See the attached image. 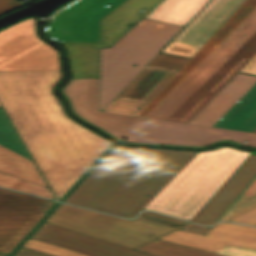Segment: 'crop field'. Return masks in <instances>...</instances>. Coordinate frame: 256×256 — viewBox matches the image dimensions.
Returning a JSON list of instances; mask_svg holds the SVG:
<instances>
[{
    "label": "crop field",
    "mask_w": 256,
    "mask_h": 256,
    "mask_svg": "<svg viewBox=\"0 0 256 256\" xmlns=\"http://www.w3.org/2000/svg\"><path fill=\"white\" fill-rule=\"evenodd\" d=\"M60 71L0 72V102L59 200L111 144L68 118L53 96Z\"/></svg>",
    "instance_id": "obj_1"
},
{
    "label": "crop field",
    "mask_w": 256,
    "mask_h": 256,
    "mask_svg": "<svg viewBox=\"0 0 256 256\" xmlns=\"http://www.w3.org/2000/svg\"><path fill=\"white\" fill-rule=\"evenodd\" d=\"M196 153L115 145L64 202L134 217Z\"/></svg>",
    "instance_id": "obj_2"
},
{
    "label": "crop field",
    "mask_w": 256,
    "mask_h": 256,
    "mask_svg": "<svg viewBox=\"0 0 256 256\" xmlns=\"http://www.w3.org/2000/svg\"><path fill=\"white\" fill-rule=\"evenodd\" d=\"M249 154L232 147L198 152L144 209L189 221Z\"/></svg>",
    "instance_id": "obj_3"
},
{
    "label": "crop field",
    "mask_w": 256,
    "mask_h": 256,
    "mask_svg": "<svg viewBox=\"0 0 256 256\" xmlns=\"http://www.w3.org/2000/svg\"><path fill=\"white\" fill-rule=\"evenodd\" d=\"M181 28L142 19L110 48L100 49L99 110L103 111Z\"/></svg>",
    "instance_id": "obj_4"
},
{
    "label": "crop field",
    "mask_w": 256,
    "mask_h": 256,
    "mask_svg": "<svg viewBox=\"0 0 256 256\" xmlns=\"http://www.w3.org/2000/svg\"><path fill=\"white\" fill-rule=\"evenodd\" d=\"M46 222L135 249L175 229L185 221L142 212L134 220L121 219L61 203Z\"/></svg>",
    "instance_id": "obj_5"
},
{
    "label": "crop field",
    "mask_w": 256,
    "mask_h": 256,
    "mask_svg": "<svg viewBox=\"0 0 256 256\" xmlns=\"http://www.w3.org/2000/svg\"><path fill=\"white\" fill-rule=\"evenodd\" d=\"M161 0H126L100 20V43L58 42L67 49L72 78H99V48L110 47ZM144 11L143 13L138 12Z\"/></svg>",
    "instance_id": "obj_6"
},
{
    "label": "crop field",
    "mask_w": 256,
    "mask_h": 256,
    "mask_svg": "<svg viewBox=\"0 0 256 256\" xmlns=\"http://www.w3.org/2000/svg\"><path fill=\"white\" fill-rule=\"evenodd\" d=\"M233 140L256 147V134L215 127L175 123L146 118L127 138L130 143L205 146L219 140ZM248 141L247 144L243 143Z\"/></svg>",
    "instance_id": "obj_7"
},
{
    "label": "crop field",
    "mask_w": 256,
    "mask_h": 256,
    "mask_svg": "<svg viewBox=\"0 0 256 256\" xmlns=\"http://www.w3.org/2000/svg\"><path fill=\"white\" fill-rule=\"evenodd\" d=\"M60 70L57 52L40 41L34 17L0 32V71Z\"/></svg>",
    "instance_id": "obj_8"
},
{
    "label": "crop field",
    "mask_w": 256,
    "mask_h": 256,
    "mask_svg": "<svg viewBox=\"0 0 256 256\" xmlns=\"http://www.w3.org/2000/svg\"><path fill=\"white\" fill-rule=\"evenodd\" d=\"M255 31L256 10L146 117L165 120Z\"/></svg>",
    "instance_id": "obj_9"
},
{
    "label": "crop field",
    "mask_w": 256,
    "mask_h": 256,
    "mask_svg": "<svg viewBox=\"0 0 256 256\" xmlns=\"http://www.w3.org/2000/svg\"><path fill=\"white\" fill-rule=\"evenodd\" d=\"M99 79H71L62 92L74 112L117 139H125L145 118L98 111Z\"/></svg>",
    "instance_id": "obj_10"
},
{
    "label": "crop field",
    "mask_w": 256,
    "mask_h": 256,
    "mask_svg": "<svg viewBox=\"0 0 256 256\" xmlns=\"http://www.w3.org/2000/svg\"><path fill=\"white\" fill-rule=\"evenodd\" d=\"M256 54V32L166 120L187 123Z\"/></svg>",
    "instance_id": "obj_11"
},
{
    "label": "crop field",
    "mask_w": 256,
    "mask_h": 256,
    "mask_svg": "<svg viewBox=\"0 0 256 256\" xmlns=\"http://www.w3.org/2000/svg\"><path fill=\"white\" fill-rule=\"evenodd\" d=\"M158 239L213 253L226 245L256 250V227L220 222L206 236L175 230Z\"/></svg>",
    "instance_id": "obj_12"
},
{
    "label": "crop field",
    "mask_w": 256,
    "mask_h": 256,
    "mask_svg": "<svg viewBox=\"0 0 256 256\" xmlns=\"http://www.w3.org/2000/svg\"><path fill=\"white\" fill-rule=\"evenodd\" d=\"M256 9V0L245 2L220 27L208 42L195 53L191 60L167 82V84L144 106L136 116L145 117L156 107L188 74H190L241 22Z\"/></svg>",
    "instance_id": "obj_13"
},
{
    "label": "crop field",
    "mask_w": 256,
    "mask_h": 256,
    "mask_svg": "<svg viewBox=\"0 0 256 256\" xmlns=\"http://www.w3.org/2000/svg\"><path fill=\"white\" fill-rule=\"evenodd\" d=\"M31 238L90 256H150L44 222Z\"/></svg>",
    "instance_id": "obj_14"
},
{
    "label": "crop field",
    "mask_w": 256,
    "mask_h": 256,
    "mask_svg": "<svg viewBox=\"0 0 256 256\" xmlns=\"http://www.w3.org/2000/svg\"><path fill=\"white\" fill-rule=\"evenodd\" d=\"M256 175V154L251 153L235 173L190 220L211 225Z\"/></svg>",
    "instance_id": "obj_15"
},
{
    "label": "crop field",
    "mask_w": 256,
    "mask_h": 256,
    "mask_svg": "<svg viewBox=\"0 0 256 256\" xmlns=\"http://www.w3.org/2000/svg\"><path fill=\"white\" fill-rule=\"evenodd\" d=\"M244 0H212L174 39L202 47Z\"/></svg>",
    "instance_id": "obj_16"
},
{
    "label": "crop field",
    "mask_w": 256,
    "mask_h": 256,
    "mask_svg": "<svg viewBox=\"0 0 256 256\" xmlns=\"http://www.w3.org/2000/svg\"><path fill=\"white\" fill-rule=\"evenodd\" d=\"M255 83L256 76L238 73L188 123L212 126Z\"/></svg>",
    "instance_id": "obj_17"
},
{
    "label": "crop field",
    "mask_w": 256,
    "mask_h": 256,
    "mask_svg": "<svg viewBox=\"0 0 256 256\" xmlns=\"http://www.w3.org/2000/svg\"><path fill=\"white\" fill-rule=\"evenodd\" d=\"M176 72L147 66L115 100L145 105Z\"/></svg>",
    "instance_id": "obj_18"
},
{
    "label": "crop field",
    "mask_w": 256,
    "mask_h": 256,
    "mask_svg": "<svg viewBox=\"0 0 256 256\" xmlns=\"http://www.w3.org/2000/svg\"><path fill=\"white\" fill-rule=\"evenodd\" d=\"M46 212L0 213V252L7 254Z\"/></svg>",
    "instance_id": "obj_19"
},
{
    "label": "crop field",
    "mask_w": 256,
    "mask_h": 256,
    "mask_svg": "<svg viewBox=\"0 0 256 256\" xmlns=\"http://www.w3.org/2000/svg\"><path fill=\"white\" fill-rule=\"evenodd\" d=\"M45 32L56 41L99 42V21L53 18Z\"/></svg>",
    "instance_id": "obj_20"
},
{
    "label": "crop field",
    "mask_w": 256,
    "mask_h": 256,
    "mask_svg": "<svg viewBox=\"0 0 256 256\" xmlns=\"http://www.w3.org/2000/svg\"><path fill=\"white\" fill-rule=\"evenodd\" d=\"M213 126L252 132L256 129V84Z\"/></svg>",
    "instance_id": "obj_21"
},
{
    "label": "crop field",
    "mask_w": 256,
    "mask_h": 256,
    "mask_svg": "<svg viewBox=\"0 0 256 256\" xmlns=\"http://www.w3.org/2000/svg\"><path fill=\"white\" fill-rule=\"evenodd\" d=\"M208 0H162L144 18L184 26Z\"/></svg>",
    "instance_id": "obj_22"
},
{
    "label": "crop field",
    "mask_w": 256,
    "mask_h": 256,
    "mask_svg": "<svg viewBox=\"0 0 256 256\" xmlns=\"http://www.w3.org/2000/svg\"><path fill=\"white\" fill-rule=\"evenodd\" d=\"M0 172L48 188L34 162L1 145Z\"/></svg>",
    "instance_id": "obj_23"
},
{
    "label": "crop field",
    "mask_w": 256,
    "mask_h": 256,
    "mask_svg": "<svg viewBox=\"0 0 256 256\" xmlns=\"http://www.w3.org/2000/svg\"><path fill=\"white\" fill-rule=\"evenodd\" d=\"M125 0H78L54 17L100 20ZM111 4L110 7L106 6Z\"/></svg>",
    "instance_id": "obj_24"
},
{
    "label": "crop field",
    "mask_w": 256,
    "mask_h": 256,
    "mask_svg": "<svg viewBox=\"0 0 256 256\" xmlns=\"http://www.w3.org/2000/svg\"><path fill=\"white\" fill-rule=\"evenodd\" d=\"M54 202L0 189V212L48 211Z\"/></svg>",
    "instance_id": "obj_25"
},
{
    "label": "crop field",
    "mask_w": 256,
    "mask_h": 256,
    "mask_svg": "<svg viewBox=\"0 0 256 256\" xmlns=\"http://www.w3.org/2000/svg\"><path fill=\"white\" fill-rule=\"evenodd\" d=\"M135 250L154 256H221L158 239H155Z\"/></svg>",
    "instance_id": "obj_26"
},
{
    "label": "crop field",
    "mask_w": 256,
    "mask_h": 256,
    "mask_svg": "<svg viewBox=\"0 0 256 256\" xmlns=\"http://www.w3.org/2000/svg\"><path fill=\"white\" fill-rule=\"evenodd\" d=\"M0 186L54 199L50 190L0 173Z\"/></svg>",
    "instance_id": "obj_27"
},
{
    "label": "crop field",
    "mask_w": 256,
    "mask_h": 256,
    "mask_svg": "<svg viewBox=\"0 0 256 256\" xmlns=\"http://www.w3.org/2000/svg\"><path fill=\"white\" fill-rule=\"evenodd\" d=\"M22 246L53 256H87L31 238H29Z\"/></svg>",
    "instance_id": "obj_28"
},
{
    "label": "crop field",
    "mask_w": 256,
    "mask_h": 256,
    "mask_svg": "<svg viewBox=\"0 0 256 256\" xmlns=\"http://www.w3.org/2000/svg\"><path fill=\"white\" fill-rule=\"evenodd\" d=\"M0 137L15 144L19 149H21L24 153H26L29 156L24 146L22 145L17 135L15 134L10 122L2 112L1 108H0Z\"/></svg>",
    "instance_id": "obj_29"
},
{
    "label": "crop field",
    "mask_w": 256,
    "mask_h": 256,
    "mask_svg": "<svg viewBox=\"0 0 256 256\" xmlns=\"http://www.w3.org/2000/svg\"><path fill=\"white\" fill-rule=\"evenodd\" d=\"M186 58L173 57L158 53L149 65L179 70L187 61Z\"/></svg>",
    "instance_id": "obj_30"
},
{
    "label": "crop field",
    "mask_w": 256,
    "mask_h": 256,
    "mask_svg": "<svg viewBox=\"0 0 256 256\" xmlns=\"http://www.w3.org/2000/svg\"><path fill=\"white\" fill-rule=\"evenodd\" d=\"M256 205V196L253 198L240 196L220 220H227Z\"/></svg>",
    "instance_id": "obj_31"
},
{
    "label": "crop field",
    "mask_w": 256,
    "mask_h": 256,
    "mask_svg": "<svg viewBox=\"0 0 256 256\" xmlns=\"http://www.w3.org/2000/svg\"><path fill=\"white\" fill-rule=\"evenodd\" d=\"M142 105L112 101L104 111L135 116Z\"/></svg>",
    "instance_id": "obj_32"
},
{
    "label": "crop field",
    "mask_w": 256,
    "mask_h": 256,
    "mask_svg": "<svg viewBox=\"0 0 256 256\" xmlns=\"http://www.w3.org/2000/svg\"><path fill=\"white\" fill-rule=\"evenodd\" d=\"M199 49V47L172 41L162 52L191 58V56Z\"/></svg>",
    "instance_id": "obj_33"
},
{
    "label": "crop field",
    "mask_w": 256,
    "mask_h": 256,
    "mask_svg": "<svg viewBox=\"0 0 256 256\" xmlns=\"http://www.w3.org/2000/svg\"><path fill=\"white\" fill-rule=\"evenodd\" d=\"M227 221L256 226V206Z\"/></svg>",
    "instance_id": "obj_34"
},
{
    "label": "crop field",
    "mask_w": 256,
    "mask_h": 256,
    "mask_svg": "<svg viewBox=\"0 0 256 256\" xmlns=\"http://www.w3.org/2000/svg\"><path fill=\"white\" fill-rule=\"evenodd\" d=\"M217 254L225 256H256V251L226 246L218 251Z\"/></svg>",
    "instance_id": "obj_35"
},
{
    "label": "crop field",
    "mask_w": 256,
    "mask_h": 256,
    "mask_svg": "<svg viewBox=\"0 0 256 256\" xmlns=\"http://www.w3.org/2000/svg\"><path fill=\"white\" fill-rule=\"evenodd\" d=\"M183 230L188 231V232H193V233L206 235L207 232L210 230V228H205V227H202V226H198V225L188 223Z\"/></svg>",
    "instance_id": "obj_36"
},
{
    "label": "crop field",
    "mask_w": 256,
    "mask_h": 256,
    "mask_svg": "<svg viewBox=\"0 0 256 256\" xmlns=\"http://www.w3.org/2000/svg\"><path fill=\"white\" fill-rule=\"evenodd\" d=\"M23 3H19L15 0H0V13L7 11L11 8L19 6Z\"/></svg>",
    "instance_id": "obj_37"
},
{
    "label": "crop field",
    "mask_w": 256,
    "mask_h": 256,
    "mask_svg": "<svg viewBox=\"0 0 256 256\" xmlns=\"http://www.w3.org/2000/svg\"><path fill=\"white\" fill-rule=\"evenodd\" d=\"M240 71L256 75V55Z\"/></svg>",
    "instance_id": "obj_38"
},
{
    "label": "crop field",
    "mask_w": 256,
    "mask_h": 256,
    "mask_svg": "<svg viewBox=\"0 0 256 256\" xmlns=\"http://www.w3.org/2000/svg\"><path fill=\"white\" fill-rule=\"evenodd\" d=\"M14 256H49V255L21 247Z\"/></svg>",
    "instance_id": "obj_39"
},
{
    "label": "crop field",
    "mask_w": 256,
    "mask_h": 256,
    "mask_svg": "<svg viewBox=\"0 0 256 256\" xmlns=\"http://www.w3.org/2000/svg\"><path fill=\"white\" fill-rule=\"evenodd\" d=\"M243 196L253 197L256 195V179L248 186V188L242 193Z\"/></svg>",
    "instance_id": "obj_40"
},
{
    "label": "crop field",
    "mask_w": 256,
    "mask_h": 256,
    "mask_svg": "<svg viewBox=\"0 0 256 256\" xmlns=\"http://www.w3.org/2000/svg\"><path fill=\"white\" fill-rule=\"evenodd\" d=\"M0 144L5 146V147H7V148H9V149H11V150H13L14 152H16V153H18L20 155L30 159L27 155H25L22 151H20L16 146H14V145H12V144H10V143L2 140V139H0Z\"/></svg>",
    "instance_id": "obj_41"
},
{
    "label": "crop field",
    "mask_w": 256,
    "mask_h": 256,
    "mask_svg": "<svg viewBox=\"0 0 256 256\" xmlns=\"http://www.w3.org/2000/svg\"><path fill=\"white\" fill-rule=\"evenodd\" d=\"M254 132L256 133V130Z\"/></svg>",
    "instance_id": "obj_42"
}]
</instances>
